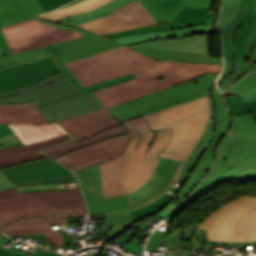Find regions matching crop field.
<instances>
[{
    "label": "crop field",
    "mask_w": 256,
    "mask_h": 256,
    "mask_svg": "<svg viewBox=\"0 0 256 256\" xmlns=\"http://www.w3.org/2000/svg\"><path fill=\"white\" fill-rule=\"evenodd\" d=\"M108 1L110 0H84L82 2L73 4L62 9L51 11L49 13L42 15L41 17L55 21L60 18L68 17L83 11H91L95 8L104 5Z\"/></svg>",
    "instance_id": "crop-field-29"
},
{
    "label": "crop field",
    "mask_w": 256,
    "mask_h": 256,
    "mask_svg": "<svg viewBox=\"0 0 256 256\" xmlns=\"http://www.w3.org/2000/svg\"><path fill=\"white\" fill-rule=\"evenodd\" d=\"M192 30V32H190ZM217 32L214 26V23L198 26V27H192L177 31H169V32H153V33H145V34H139L131 37H125V38H118L114 39L121 43H123L126 46L134 45L154 39H163V38H174V37H184V36H192V35H198V34H206V33H214Z\"/></svg>",
    "instance_id": "crop-field-25"
},
{
    "label": "crop field",
    "mask_w": 256,
    "mask_h": 256,
    "mask_svg": "<svg viewBox=\"0 0 256 256\" xmlns=\"http://www.w3.org/2000/svg\"><path fill=\"white\" fill-rule=\"evenodd\" d=\"M0 56H4L1 50H0Z\"/></svg>",
    "instance_id": "crop-field-53"
},
{
    "label": "crop field",
    "mask_w": 256,
    "mask_h": 256,
    "mask_svg": "<svg viewBox=\"0 0 256 256\" xmlns=\"http://www.w3.org/2000/svg\"><path fill=\"white\" fill-rule=\"evenodd\" d=\"M216 77L217 75L214 74L201 76L189 82L164 89L107 110L121 121L144 116L208 96L215 87L214 81Z\"/></svg>",
    "instance_id": "crop-field-9"
},
{
    "label": "crop field",
    "mask_w": 256,
    "mask_h": 256,
    "mask_svg": "<svg viewBox=\"0 0 256 256\" xmlns=\"http://www.w3.org/2000/svg\"><path fill=\"white\" fill-rule=\"evenodd\" d=\"M0 254L2 256H25L23 254H9L7 251H5L4 249H2L0 247ZM33 256H58V254L56 253H52V252H48V251H44V250H41L40 252H38L37 254L33 255Z\"/></svg>",
    "instance_id": "crop-field-41"
},
{
    "label": "crop field",
    "mask_w": 256,
    "mask_h": 256,
    "mask_svg": "<svg viewBox=\"0 0 256 256\" xmlns=\"http://www.w3.org/2000/svg\"><path fill=\"white\" fill-rule=\"evenodd\" d=\"M131 1H134V0H111L104 6L98 8L96 10H93L88 13L83 12V13L74 15V17H76L78 20H76L75 22H72V23H68V24L77 25L80 23H84V22H87V21H90L93 19H97V18L106 16V15L112 14L111 10L121 7Z\"/></svg>",
    "instance_id": "crop-field-30"
},
{
    "label": "crop field",
    "mask_w": 256,
    "mask_h": 256,
    "mask_svg": "<svg viewBox=\"0 0 256 256\" xmlns=\"http://www.w3.org/2000/svg\"><path fill=\"white\" fill-rule=\"evenodd\" d=\"M79 1H82V0H76V1L71 2V3H69V4L65 5V6H68V5H70V4H73V3H76V2H79ZM65 6H63V7H65ZM61 8H62V7H61Z\"/></svg>",
    "instance_id": "crop-field-52"
},
{
    "label": "crop field",
    "mask_w": 256,
    "mask_h": 256,
    "mask_svg": "<svg viewBox=\"0 0 256 256\" xmlns=\"http://www.w3.org/2000/svg\"><path fill=\"white\" fill-rule=\"evenodd\" d=\"M17 188L0 169V191Z\"/></svg>",
    "instance_id": "crop-field-40"
},
{
    "label": "crop field",
    "mask_w": 256,
    "mask_h": 256,
    "mask_svg": "<svg viewBox=\"0 0 256 256\" xmlns=\"http://www.w3.org/2000/svg\"><path fill=\"white\" fill-rule=\"evenodd\" d=\"M35 101L48 123L104 108L93 92L81 95L67 74L40 86L0 95L2 103Z\"/></svg>",
    "instance_id": "crop-field-3"
},
{
    "label": "crop field",
    "mask_w": 256,
    "mask_h": 256,
    "mask_svg": "<svg viewBox=\"0 0 256 256\" xmlns=\"http://www.w3.org/2000/svg\"><path fill=\"white\" fill-rule=\"evenodd\" d=\"M198 224L194 223L192 226H189L184 230L183 239L188 240L193 238V233Z\"/></svg>",
    "instance_id": "crop-field-44"
},
{
    "label": "crop field",
    "mask_w": 256,
    "mask_h": 256,
    "mask_svg": "<svg viewBox=\"0 0 256 256\" xmlns=\"http://www.w3.org/2000/svg\"><path fill=\"white\" fill-rule=\"evenodd\" d=\"M113 13L112 15L77 26L103 35L115 31L157 24L139 0L115 9Z\"/></svg>",
    "instance_id": "crop-field-15"
},
{
    "label": "crop field",
    "mask_w": 256,
    "mask_h": 256,
    "mask_svg": "<svg viewBox=\"0 0 256 256\" xmlns=\"http://www.w3.org/2000/svg\"><path fill=\"white\" fill-rule=\"evenodd\" d=\"M207 243H219V244H254L256 241L253 242H219V241H210L208 240Z\"/></svg>",
    "instance_id": "crop-field-49"
},
{
    "label": "crop field",
    "mask_w": 256,
    "mask_h": 256,
    "mask_svg": "<svg viewBox=\"0 0 256 256\" xmlns=\"http://www.w3.org/2000/svg\"><path fill=\"white\" fill-rule=\"evenodd\" d=\"M10 127L20 138L23 145L0 150L1 168L47 158V156L43 153L29 157L26 152L50 147L73 139L58 122L42 126H32L30 124H10Z\"/></svg>",
    "instance_id": "crop-field-11"
},
{
    "label": "crop field",
    "mask_w": 256,
    "mask_h": 256,
    "mask_svg": "<svg viewBox=\"0 0 256 256\" xmlns=\"http://www.w3.org/2000/svg\"><path fill=\"white\" fill-rule=\"evenodd\" d=\"M3 171L16 186L77 180L70 170L50 158L4 168Z\"/></svg>",
    "instance_id": "crop-field-14"
},
{
    "label": "crop field",
    "mask_w": 256,
    "mask_h": 256,
    "mask_svg": "<svg viewBox=\"0 0 256 256\" xmlns=\"http://www.w3.org/2000/svg\"><path fill=\"white\" fill-rule=\"evenodd\" d=\"M223 180L221 179H217L216 181L213 180H209L206 179L194 192L193 194L187 199L186 203L184 204L183 208L185 206H187L188 204H190L191 202H193L194 200L198 199L199 197H201L202 195H204L205 193H207L209 190H211L213 187H215L217 184H219L220 182H222ZM182 208V207H181ZM182 208V209H183ZM181 209V210H182ZM181 210H179L177 213H175L171 218H173L175 215H177ZM170 218V219H171ZM169 219V220H170ZM168 220V221H169ZM167 221V222H168Z\"/></svg>",
    "instance_id": "crop-field-36"
},
{
    "label": "crop field",
    "mask_w": 256,
    "mask_h": 256,
    "mask_svg": "<svg viewBox=\"0 0 256 256\" xmlns=\"http://www.w3.org/2000/svg\"><path fill=\"white\" fill-rule=\"evenodd\" d=\"M194 238L200 241L207 242V234L205 230L196 228Z\"/></svg>",
    "instance_id": "crop-field-45"
},
{
    "label": "crop field",
    "mask_w": 256,
    "mask_h": 256,
    "mask_svg": "<svg viewBox=\"0 0 256 256\" xmlns=\"http://www.w3.org/2000/svg\"><path fill=\"white\" fill-rule=\"evenodd\" d=\"M157 22L171 21L183 7L211 9L212 0H140Z\"/></svg>",
    "instance_id": "crop-field-21"
},
{
    "label": "crop field",
    "mask_w": 256,
    "mask_h": 256,
    "mask_svg": "<svg viewBox=\"0 0 256 256\" xmlns=\"http://www.w3.org/2000/svg\"><path fill=\"white\" fill-rule=\"evenodd\" d=\"M183 231L179 230L175 233L169 234L156 229L155 233L152 235L147 247L152 249H157L162 241L171 243L169 246L173 248L182 238Z\"/></svg>",
    "instance_id": "crop-field-34"
},
{
    "label": "crop field",
    "mask_w": 256,
    "mask_h": 256,
    "mask_svg": "<svg viewBox=\"0 0 256 256\" xmlns=\"http://www.w3.org/2000/svg\"><path fill=\"white\" fill-rule=\"evenodd\" d=\"M52 213L86 215L81 189L26 194H20L18 189L0 192V228L16 219Z\"/></svg>",
    "instance_id": "crop-field-6"
},
{
    "label": "crop field",
    "mask_w": 256,
    "mask_h": 256,
    "mask_svg": "<svg viewBox=\"0 0 256 256\" xmlns=\"http://www.w3.org/2000/svg\"><path fill=\"white\" fill-rule=\"evenodd\" d=\"M256 87V68L247 72L235 84L229 87L225 92L243 96L248 91Z\"/></svg>",
    "instance_id": "crop-field-33"
},
{
    "label": "crop field",
    "mask_w": 256,
    "mask_h": 256,
    "mask_svg": "<svg viewBox=\"0 0 256 256\" xmlns=\"http://www.w3.org/2000/svg\"><path fill=\"white\" fill-rule=\"evenodd\" d=\"M109 116H111V114L106 109H102L61 121L59 123L73 136L74 139L50 148L29 152L28 154L31 156L40 152L72 144L83 139L88 140L104 130L121 124Z\"/></svg>",
    "instance_id": "crop-field-17"
},
{
    "label": "crop field",
    "mask_w": 256,
    "mask_h": 256,
    "mask_svg": "<svg viewBox=\"0 0 256 256\" xmlns=\"http://www.w3.org/2000/svg\"><path fill=\"white\" fill-rule=\"evenodd\" d=\"M151 129L173 128V138L161 157L186 161L209 120L207 97L144 116Z\"/></svg>",
    "instance_id": "crop-field-5"
},
{
    "label": "crop field",
    "mask_w": 256,
    "mask_h": 256,
    "mask_svg": "<svg viewBox=\"0 0 256 256\" xmlns=\"http://www.w3.org/2000/svg\"><path fill=\"white\" fill-rule=\"evenodd\" d=\"M134 224L129 211L106 214L104 232L109 239H116Z\"/></svg>",
    "instance_id": "crop-field-26"
},
{
    "label": "crop field",
    "mask_w": 256,
    "mask_h": 256,
    "mask_svg": "<svg viewBox=\"0 0 256 256\" xmlns=\"http://www.w3.org/2000/svg\"><path fill=\"white\" fill-rule=\"evenodd\" d=\"M30 123L33 125L46 124L42 112L35 102L25 104L0 105V124Z\"/></svg>",
    "instance_id": "crop-field-23"
},
{
    "label": "crop field",
    "mask_w": 256,
    "mask_h": 256,
    "mask_svg": "<svg viewBox=\"0 0 256 256\" xmlns=\"http://www.w3.org/2000/svg\"><path fill=\"white\" fill-rule=\"evenodd\" d=\"M125 133H126V130H125L124 126L121 125V126H117L115 128L109 129L107 131H104V132L94 136L93 138H91L88 141L83 140L81 142H78V143H75V144H72V145H68V146H65V147H62V148H58V149H55V150H52V151H48V152H45V153H47L51 157L55 158V157H58V156L76 151L78 149L84 148L86 146L101 142V141H103V140H105L109 137L120 135V134H125Z\"/></svg>",
    "instance_id": "crop-field-27"
},
{
    "label": "crop field",
    "mask_w": 256,
    "mask_h": 256,
    "mask_svg": "<svg viewBox=\"0 0 256 256\" xmlns=\"http://www.w3.org/2000/svg\"><path fill=\"white\" fill-rule=\"evenodd\" d=\"M138 240L134 239L130 244L127 245L126 249H129L131 251H134L136 253L140 254V247L139 245H136Z\"/></svg>",
    "instance_id": "crop-field-47"
},
{
    "label": "crop field",
    "mask_w": 256,
    "mask_h": 256,
    "mask_svg": "<svg viewBox=\"0 0 256 256\" xmlns=\"http://www.w3.org/2000/svg\"><path fill=\"white\" fill-rule=\"evenodd\" d=\"M162 64L135 73L136 79L106 89L95 91V95L106 108L143 97L164 88L189 81L209 71L219 73L222 66L193 64L176 61H159ZM166 79L158 81L156 78Z\"/></svg>",
    "instance_id": "crop-field-4"
},
{
    "label": "crop field",
    "mask_w": 256,
    "mask_h": 256,
    "mask_svg": "<svg viewBox=\"0 0 256 256\" xmlns=\"http://www.w3.org/2000/svg\"><path fill=\"white\" fill-rule=\"evenodd\" d=\"M72 0H39L45 12L53 10L61 5L71 2Z\"/></svg>",
    "instance_id": "crop-field-39"
},
{
    "label": "crop field",
    "mask_w": 256,
    "mask_h": 256,
    "mask_svg": "<svg viewBox=\"0 0 256 256\" xmlns=\"http://www.w3.org/2000/svg\"><path fill=\"white\" fill-rule=\"evenodd\" d=\"M244 102L256 101V88L243 96Z\"/></svg>",
    "instance_id": "crop-field-46"
},
{
    "label": "crop field",
    "mask_w": 256,
    "mask_h": 256,
    "mask_svg": "<svg viewBox=\"0 0 256 256\" xmlns=\"http://www.w3.org/2000/svg\"><path fill=\"white\" fill-rule=\"evenodd\" d=\"M19 141L9 125H0V144Z\"/></svg>",
    "instance_id": "crop-field-38"
},
{
    "label": "crop field",
    "mask_w": 256,
    "mask_h": 256,
    "mask_svg": "<svg viewBox=\"0 0 256 256\" xmlns=\"http://www.w3.org/2000/svg\"><path fill=\"white\" fill-rule=\"evenodd\" d=\"M65 218H32L16 221L1 229L9 236L33 234L35 239H50L51 244L66 246L62 234L58 229H51V225L65 224Z\"/></svg>",
    "instance_id": "crop-field-19"
},
{
    "label": "crop field",
    "mask_w": 256,
    "mask_h": 256,
    "mask_svg": "<svg viewBox=\"0 0 256 256\" xmlns=\"http://www.w3.org/2000/svg\"><path fill=\"white\" fill-rule=\"evenodd\" d=\"M232 131L249 137L256 144V119L250 113L235 117V125Z\"/></svg>",
    "instance_id": "crop-field-32"
},
{
    "label": "crop field",
    "mask_w": 256,
    "mask_h": 256,
    "mask_svg": "<svg viewBox=\"0 0 256 256\" xmlns=\"http://www.w3.org/2000/svg\"><path fill=\"white\" fill-rule=\"evenodd\" d=\"M0 49L3 50L5 55L12 54L11 50L9 49L5 37L2 35L0 30Z\"/></svg>",
    "instance_id": "crop-field-43"
},
{
    "label": "crop field",
    "mask_w": 256,
    "mask_h": 256,
    "mask_svg": "<svg viewBox=\"0 0 256 256\" xmlns=\"http://www.w3.org/2000/svg\"><path fill=\"white\" fill-rule=\"evenodd\" d=\"M241 0H225L219 25L225 27L237 15Z\"/></svg>",
    "instance_id": "crop-field-35"
},
{
    "label": "crop field",
    "mask_w": 256,
    "mask_h": 256,
    "mask_svg": "<svg viewBox=\"0 0 256 256\" xmlns=\"http://www.w3.org/2000/svg\"><path fill=\"white\" fill-rule=\"evenodd\" d=\"M227 104L234 116L248 113L249 111L245 108L244 103L241 98L231 97L227 99Z\"/></svg>",
    "instance_id": "crop-field-37"
},
{
    "label": "crop field",
    "mask_w": 256,
    "mask_h": 256,
    "mask_svg": "<svg viewBox=\"0 0 256 256\" xmlns=\"http://www.w3.org/2000/svg\"><path fill=\"white\" fill-rule=\"evenodd\" d=\"M1 30L14 54L1 57L0 67L53 53L81 94L134 79L133 73L160 64L109 38L39 17Z\"/></svg>",
    "instance_id": "crop-field-1"
},
{
    "label": "crop field",
    "mask_w": 256,
    "mask_h": 256,
    "mask_svg": "<svg viewBox=\"0 0 256 256\" xmlns=\"http://www.w3.org/2000/svg\"><path fill=\"white\" fill-rule=\"evenodd\" d=\"M65 74L51 55L0 68V94L11 93Z\"/></svg>",
    "instance_id": "crop-field-13"
},
{
    "label": "crop field",
    "mask_w": 256,
    "mask_h": 256,
    "mask_svg": "<svg viewBox=\"0 0 256 256\" xmlns=\"http://www.w3.org/2000/svg\"><path fill=\"white\" fill-rule=\"evenodd\" d=\"M129 47L157 60L222 65V59L209 58L207 35L154 40Z\"/></svg>",
    "instance_id": "crop-field-12"
},
{
    "label": "crop field",
    "mask_w": 256,
    "mask_h": 256,
    "mask_svg": "<svg viewBox=\"0 0 256 256\" xmlns=\"http://www.w3.org/2000/svg\"><path fill=\"white\" fill-rule=\"evenodd\" d=\"M86 203L90 212L89 215L104 214L130 209L129 201L126 195L89 201Z\"/></svg>",
    "instance_id": "crop-field-28"
},
{
    "label": "crop field",
    "mask_w": 256,
    "mask_h": 256,
    "mask_svg": "<svg viewBox=\"0 0 256 256\" xmlns=\"http://www.w3.org/2000/svg\"><path fill=\"white\" fill-rule=\"evenodd\" d=\"M197 227L207 230L211 240H256V196L245 195L229 201Z\"/></svg>",
    "instance_id": "crop-field-8"
},
{
    "label": "crop field",
    "mask_w": 256,
    "mask_h": 256,
    "mask_svg": "<svg viewBox=\"0 0 256 256\" xmlns=\"http://www.w3.org/2000/svg\"><path fill=\"white\" fill-rule=\"evenodd\" d=\"M210 10H201L195 8H183L182 11L171 21L159 23V25L136 28L126 31L107 34L114 38L130 36L134 34L152 32V31H168L177 30L192 26H198L209 22H214V14L209 13Z\"/></svg>",
    "instance_id": "crop-field-20"
},
{
    "label": "crop field",
    "mask_w": 256,
    "mask_h": 256,
    "mask_svg": "<svg viewBox=\"0 0 256 256\" xmlns=\"http://www.w3.org/2000/svg\"><path fill=\"white\" fill-rule=\"evenodd\" d=\"M248 3H249V0H242L238 16L231 23H229L225 28L218 25V28L224 38V54H225V58H226L225 69L219 79L218 84L221 83V81L227 75L231 74L234 70L233 56H234V51H235L234 50L235 33L237 31V28L240 26V23L248 10V6H249Z\"/></svg>",
    "instance_id": "crop-field-24"
},
{
    "label": "crop field",
    "mask_w": 256,
    "mask_h": 256,
    "mask_svg": "<svg viewBox=\"0 0 256 256\" xmlns=\"http://www.w3.org/2000/svg\"><path fill=\"white\" fill-rule=\"evenodd\" d=\"M21 145V142H15L11 144L1 145L0 149Z\"/></svg>",
    "instance_id": "crop-field-51"
},
{
    "label": "crop field",
    "mask_w": 256,
    "mask_h": 256,
    "mask_svg": "<svg viewBox=\"0 0 256 256\" xmlns=\"http://www.w3.org/2000/svg\"><path fill=\"white\" fill-rule=\"evenodd\" d=\"M127 139L128 134L109 138L101 143L55 158V160L75 171L122 153Z\"/></svg>",
    "instance_id": "crop-field-18"
},
{
    "label": "crop field",
    "mask_w": 256,
    "mask_h": 256,
    "mask_svg": "<svg viewBox=\"0 0 256 256\" xmlns=\"http://www.w3.org/2000/svg\"><path fill=\"white\" fill-rule=\"evenodd\" d=\"M218 177L239 183L256 180V146L245 136L230 132L222 141L218 161L208 178Z\"/></svg>",
    "instance_id": "crop-field-10"
},
{
    "label": "crop field",
    "mask_w": 256,
    "mask_h": 256,
    "mask_svg": "<svg viewBox=\"0 0 256 256\" xmlns=\"http://www.w3.org/2000/svg\"><path fill=\"white\" fill-rule=\"evenodd\" d=\"M249 4V11L244 17L236 34L235 70L232 75L226 77L222 83L218 85L222 91L247 72L251 67L250 64H253L249 61V56L256 42V0H250Z\"/></svg>",
    "instance_id": "crop-field-16"
},
{
    "label": "crop field",
    "mask_w": 256,
    "mask_h": 256,
    "mask_svg": "<svg viewBox=\"0 0 256 256\" xmlns=\"http://www.w3.org/2000/svg\"><path fill=\"white\" fill-rule=\"evenodd\" d=\"M250 60L255 63V65H252V68L256 67V45L254 46L252 52H251V56H250Z\"/></svg>",
    "instance_id": "crop-field-50"
},
{
    "label": "crop field",
    "mask_w": 256,
    "mask_h": 256,
    "mask_svg": "<svg viewBox=\"0 0 256 256\" xmlns=\"http://www.w3.org/2000/svg\"><path fill=\"white\" fill-rule=\"evenodd\" d=\"M0 235H3V234L0 233Z\"/></svg>",
    "instance_id": "crop-field-54"
},
{
    "label": "crop field",
    "mask_w": 256,
    "mask_h": 256,
    "mask_svg": "<svg viewBox=\"0 0 256 256\" xmlns=\"http://www.w3.org/2000/svg\"><path fill=\"white\" fill-rule=\"evenodd\" d=\"M173 198L174 196L166 193L154 203L144 208L130 211L134 222L136 223L144 218H148L155 214H158L162 209H164V207L168 204V202Z\"/></svg>",
    "instance_id": "crop-field-31"
},
{
    "label": "crop field",
    "mask_w": 256,
    "mask_h": 256,
    "mask_svg": "<svg viewBox=\"0 0 256 256\" xmlns=\"http://www.w3.org/2000/svg\"><path fill=\"white\" fill-rule=\"evenodd\" d=\"M245 106L250 111V113L256 117V102L245 103Z\"/></svg>",
    "instance_id": "crop-field-48"
},
{
    "label": "crop field",
    "mask_w": 256,
    "mask_h": 256,
    "mask_svg": "<svg viewBox=\"0 0 256 256\" xmlns=\"http://www.w3.org/2000/svg\"><path fill=\"white\" fill-rule=\"evenodd\" d=\"M177 207H178V206L169 203V204L166 206V208H165L163 211H161L157 216H161V217H163V218H166V217L169 216L171 213H173Z\"/></svg>",
    "instance_id": "crop-field-42"
},
{
    "label": "crop field",
    "mask_w": 256,
    "mask_h": 256,
    "mask_svg": "<svg viewBox=\"0 0 256 256\" xmlns=\"http://www.w3.org/2000/svg\"><path fill=\"white\" fill-rule=\"evenodd\" d=\"M44 13L38 0H0V27Z\"/></svg>",
    "instance_id": "crop-field-22"
},
{
    "label": "crop field",
    "mask_w": 256,
    "mask_h": 256,
    "mask_svg": "<svg viewBox=\"0 0 256 256\" xmlns=\"http://www.w3.org/2000/svg\"><path fill=\"white\" fill-rule=\"evenodd\" d=\"M210 104V121L198 141L196 147L184 163L180 177L189 179L178 197L185 199L209 170L214 160V150L217 143L227 133L231 126L229 115L220 91L215 88L208 96ZM219 122V124H216Z\"/></svg>",
    "instance_id": "crop-field-7"
},
{
    "label": "crop field",
    "mask_w": 256,
    "mask_h": 256,
    "mask_svg": "<svg viewBox=\"0 0 256 256\" xmlns=\"http://www.w3.org/2000/svg\"><path fill=\"white\" fill-rule=\"evenodd\" d=\"M123 124L131 138L125 153L75 173L86 201L127 194L133 209L169 190L183 162L158 157L171 142L172 129L152 132L143 117Z\"/></svg>",
    "instance_id": "crop-field-2"
}]
</instances>
